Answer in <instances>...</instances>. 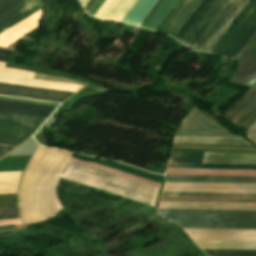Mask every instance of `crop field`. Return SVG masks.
<instances>
[{
  "instance_id": "crop-field-9",
  "label": "crop field",
  "mask_w": 256,
  "mask_h": 256,
  "mask_svg": "<svg viewBox=\"0 0 256 256\" xmlns=\"http://www.w3.org/2000/svg\"><path fill=\"white\" fill-rule=\"evenodd\" d=\"M41 9L42 6L39 0H0V29L9 25L10 23L17 20L18 18H20L21 16L25 15L28 12L33 14ZM29 13L21 17L17 21L13 22L9 26L11 27L18 23L19 21L26 18L27 16L31 15ZM3 31H1L0 33H2Z\"/></svg>"
},
{
  "instance_id": "crop-field-3",
  "label": "crop field",
  "mask_w": 256,
  "mask_h": 256,
  "mask_svg": "<svg viewBox=\"0 0 256 256\" xmlns=\"http://www.w3.org/2000/svg\"><path fill=\"white\" fill-rule=\"evenodd\" d=\"M61 178L102 189L118 196L122 195L149 204L153 207L155 206L160 190L156 187L70 161L68 162Z\"/></svg>"
},
{
  "instance_id": "crop-field-5",
  "label": "crop field",
  "mask_w": 256,
  "mask_h": 256,
  "mask_svg": "<svg viewBox=\"0 0 256 256\" xmlns=\"http://www.w3.org/2000/svg\"><path fill=\"white\" fill-rule=\"evenodd\" d=\"M205 156L256 157V153L205 152ZM204 152H172L168 167L183 168H222V169H256V158L205 157L204 163L234 164H203Z\"/></svg>"
},
{
  "instance_id": "crop-field-34",
  "label": "crop field",
  "mask_w": 256,
  "mask_h": 256,
  "mask_svg": "<svg viewBox=\"0 0 256 256\" xmlns=\"http://www.w3.org/2000/svg\"><path fill=\"white\" fill-rule=\"evenodd\" d=\"M79 1L82 3L83 7H84L85 4L88 2V0H79Z\"/></svg>"
},
{
  "instance_id": "crop-field-2",
  "label": "crop field",
  "mask_w": 256,
  "mask_h": 256,
  "mask_svg": "<svg viewBox=\"0 0 256 256\" xmlns=\"http://www.w3.org/2000/svg\"><path fill=\"white\" fill-rule=\"evenodd\" d=\"M251 0H203L174 38L212 53Z\"/></svg>"
},
{
  "instance_id": "crop-field-31",
  "label": "crop field",
  "mask_w": 256,
  "mask_h": 256,
  "mask_svg": "<svg viewBox=\"0 0 256 256\" xmlns=\"http://www.w3.org/2000/svg\"><path fill=\"white\" fill-rule=\"evenodd\" d=\"M248 133H250L256 137V123L251 127V129L248 131Z\"/></svg>"
},
{
  "instance_id": "crop-field-25",
  "label": "crop field",
  "mask_w": 256,
  "mask_h": 256,
  "mask_svg": "<svg viewBox=\"0 0 256 256\" xmlns=\"http://www.w3.org/2000/svg\"><path fill=\"white\" fill-rule=\"evenodd\" d=\"M11 204H16V194L0 196V206L11 205Z\"/></svg>"
},
{
  "instance_id": "crop-field-6",
  "label": "crop field",
  "mask_w": 256,
  "mask_h": 256,
  "mask_svg": "<svg viewBox=\"0 0 256 256\" xmlns=\"http://www.w3.org/2000/svg\"><path fill=\"white\" fill-rule=\"evenodd\" d=\"M255 29L256 0L249 6L215 53L227 57H235Z\"/></svg>"
},
{
  "instance_id": "crop-field-28",
  "label": "crop field",
  "mask_w": 256,
  "mask_h": 256,
  "mask_svg": "<svg viewBox=\"0 0 256 256\" xmlns=\"http://www.w3.org/2000/svg\"><path fill=\"white\" fill-rule=\"evenodd\" d=\"M10 53V50L0 49V61L6 62Z\"/></svg>"
},
{
  "instance_id": "crop-field-27",
  "label": "crop field",
  "mask_w": 256,
  "mask_h": 256,
  "mask_svg": "<svg viewBox=\"0 0 256 256\" xmlns=\"http://www.w3.org/2000/svg\"><path fill=\"white\" fill-rule=\"evenodd\" d=\"M16 144H9V143H1L0 142V156L4 155L14 147H16Z\"/></svg>"
},
{
  "instance_id": "crop-field-21",
  "label": "crop field",
  "mask_w": 256,
  "mask_h": 256,
  "mask_svg": "<svg viewBox=\"0 0 256 256\" xmlns=\"http://www.w3.org/2000/svg\"><path fill=\"white\" fill-rule=\"evenodd\" d=\"M174 143L248 144L242 138L175 137Z\"/></svg>"
},
{
  "instance_id": "crop-field-20",
  "label": "crop field",
  "mask_w": 256,
  "mask_h": 256,
  "mask_svg": "<svg viewBox=\"0 0 256 256\" xmlns=\"http://www.w3.org/2000/svg\"><path fill=\"white\" fill-rule=\"evenodd\" d=\"M46 118L0 112V123L38 128Z\"/></svg>"
},
{
  "instance_id": "crop-field-15",
  "label": "crop field",
  "mask_w": 256,
  "mask_h": 256,
  "mask_svg": "<svg viewBox=\"0 0 256 256\" xmlns=\"http://www.w3.org/2000/svg\"><path fill=\"white\" fill-rule=\"evenodd\" d=\"M137 0H107L95 18L122 22Z\"/></svg>"
},
{
  "instance_id": "crop-field-8",
  "label": "crop field",
  "mask_w": 256,
  "mask_h": 256,
  "mask_svg": "<svg viewBox=\"0 0 256 256\" xmlns=\"http://www.w3.org/2000/svg\"><path fill=\"white\" fill-rule=\"evenodd\" d=\"M235 58L239 64L230 83L246 86L256 71V30ZM247 87L256 89V73Z\"/></svg>"
},
{
  "instance_id": "crop-field-18",
  "label": "crop field",
  "mask_w": 256,
  "mask_h": 256,
  "mask_svg": "<svg viewBox=\"0 0 256 256\" xmlns=\"http://www.w3.org/2000/svg\"><path fill=\"white\" fill-rule=\"evenodd\" d=\"M55 108L0 101V111L48 117Z\"/></svg>"
},
{
  "instance_id": "crop-field-12",
  "label": "crop field",
  "mask_w": 256,
  "mask_h": 256,
  "mask_svg": "<svg viewBox=\"0 0 256 256\" xmlns=\"http://www.w3.org/2000/svg\"><path fill=\"white\" fill-rule=\"evenodd\" d=\"M223 117L231 121L236 119L235 124H240L249 130L256 122V90L249 89Z\"/></svg>"
},
{
  "instance_id": "crop-field-16",
  "label": "crop field",
  "mask_w": 256,
  "mask_h": 256,
  "mask_svg": "<svg viewBox=\"0 0 256 256\" xmlns=\"http://www.w3.org/2000/svg\"><path fill=\"white\" fill-rule=\"evenodd\" d=\"M158 208L256 210V204L161 202Z\"/></svg>"
},
{
  "instance_id": "crop-field-22",
  "label": "crop field",
  "mask_w": 256,
  "mask_h": 256,
  "mask_svg": "<svg viewBox=\"0 0 256 256\" xmlns=\"http://www.w3.org/2000/svg\"><path fill=\"white\" fill-rule=\"evenodd\" d=\"M176 1L177 0H162L143 27L155 30Z\"/></svg>"
},
{
  "instance_id": "crop-field-19",
  "label": "crop field",
  "mask_w": 256,
  "mask_h": 256,
  "mask_svg": "<svg viewBox=\"0 0 256 256\" xmlns=\"http://www.w3.org/2000/svg\"><path fill=\"white\" fill-rule=\"evenodd\" d=\"M36 129L0 124V141L20 144Z\"/></svg>"
},
{
  "instance_id": "crop-field-30",
  "label": "crop field",
  "mask_w": 256,
  "mask_h": 256,
  "mask_svg": "<svg viewBox=\"0 0 256 256\" xmlns=\"http://www.w3.org/2000/svg\"><path fill=\"white\" fill-rule=\"evenodd\" d=\"M55 201H56V205H57V211L60 212L61 210H63V208H62V206L59 202V199L57 197V193H56Z\"/></svg>"
},
{
  "instance_id": "crop-field-4",
  "label": "crop field",
  "mask_w": 256,
  "mask_h": 256,
  "mask_svg": "<svg viewBox=\"0 0 256 256\" xmlns=\"http://www.w3.org/2000/svg\"><path fill=\"white\" fill-rule=\"evenodd\" d=\"M158 210L182 228L256 229V211Z\"/></svg>"
},
{
  "instance_id": "crop-field-32",
  "label": "crop field",
  "mask_w": 256,
  "mask_h": 256,
  "mask_svg": "<svg viewBox=\"0 0 256 256\" xmlns=\"http://www.w3.org/2000/svg\"><path fill=\"white\" fill-rule=\"evenodd\" d=\"M94 2V0H89V2L86 4V6L84 7L85 10L87 11L88 8L91 6V4Z\"/></svg>"
},
{
  "instance_id": "crop-field-29",
  "label": "crop field",
  "mask_w": 256,
  "mask_h": 256,
  "mask_svg": "<svg viewBox=\"0 0 256 256\" xmlns=\"http://www.w3.org/2000/svg\"><path fill=\"white\" fill-rule=\"evenodd\" d=\"M13 229H14V228L7 229L6 226H2V227H0V234L13 232Z\"/></svg>"
},
{
  "instance_id": "crop-field-24",
  "label": "crop field",
  "mask_w": 256,
  "mask_h": 256,
  "mask_svg": "<svg viewBox=\"0 0 256 256\" xmlns=\"http://www.w3.org/2000/svg\"><path fill=\"white\" fill-rule=\"evenodd\" d=\"M15 218H20L16 205L0 207V220Z\"/></svg>"
},
{
  "instance_id": "crop-field-11",
  "label": "crop field",
  "mask_w": 256,
  "mask_h": 256,
  "mask_svg": "<svg viewBox=\"0 0 256 256\" xmlns=\"http://www.w3.org/2000/svg\"><path fill=\"white\" fill-rule=\"evenodd\" d=\"M201 248L256 249V241L194 240ZM208 256H256V250L203 249Z\"/></svg>"
},
{
  "instance_id": "crop-field-1",
  "label": "crop field",
  "mask_w": 256,
  "mask_h": 256,
  "mask_svg": "<svg viewBox=\"0 0 256 256\" xmlns=\"http://www.w3.org/2000/svg\"><path fill=\"white\" fill-rule=\"evenodd\" d=\"M70 154L38 145L23 172L18 191L23 223L40 222L56 214L53 194Z\"/></svg>"
},
{
  "instance_id": "crop-field-7",
  "label": "crop field",
  "mask_w": 256,
  "mask_h": 256,
  "mask_svg": "<svg viewBox=\"0 0 256 256\" xmlns=\"http://www.w3.org/2000/svg\"><path fill=\"white\" fill-rule=\"evenodd\" d=\"M176 136L238 137L196 108L185 118Z\"/></svg>"
},
{
  "instance_id": "crop-field-17",
  "label": "crop field",
  "mask_w": 256,
  "mask_h": 256,
  "mask_svg": "<svg viewBox=\"0 0 256 256\" xmlns=\"http://www.w3.org/2000/svg\"><path fill=\"white\" fill-rule=\"evenodd\" d=\"M167 181L256 183V177L166 175Z\"/></svg>"
},
{
  "instance_id": "crop-field-26",
  "label": "crop field",
  "mask_w": 256,
  "mask_h": 256,
  "mask_svg": "<svg viewBox=\"0 0 256 256\" xmlns=\"http://www.w3.org/2000/svg\"><path fill=\"white\" fill-rule=\"evenodd\" d=\"M105 1L106 0H95V2L87 11V13L94 17V15L97 13V11L100 9V7L103 5Z\"/></svg>"
},
{
  "instance_id": "crop-field-14",
  "label": "crop field",
  "mask_w": 256,
  "mask_h": 256,
  "mask_svg": "<svg viewBox=\"0 0 256 256\" xmlns=\"http://www.w3.org/2000/svg\"><path fill=\"white\" fill-rule=\"evenodd\" d=\"M0 94L63 102L74 93L0 83Z\"/></svg>"
},
{
  "instance_id": "crop-field-10",
  "label": "crop field",
  "mask_w": 256,
  "mask_h": 256,
  "mask_svg": "<svg viewBox=\"0 0 256 256\" xmlns=\"http://www.w3.org/2000/svg\"><path fill=\"white\" fill-rule=\"evenodd\" d=\"M164 191L256 193V184L167 182Z\"/></svg>"
},
{
  "instance_id": "crop-field-13",
  "label": "crop field",
  "mask_w": 256,
  "mask_h": 256,
  "mask_svg": "<svg viewBox=\"0 0 256 256\" xmlns=\"http://www.w3.org/2000/svg\"><path fill=\"white\" fill-rule=\"evenodd\" d=\"M201 1L178 0L156 30L174 37Z\"/></svg>"
},
{
  "instance_id": "crop-field-23",
  "label": "crop field",
  "mask_w": 256,
  "mask_h": 256,
  "mask_svg": "<svg viewBox=\"0 0 256 256\" xmlns=\"http://www.w3.org/2000/svg\"><path fill=\"white\" fill-rule=\"evenodd\" d=\"M162 196L256 198V194L164 192Z\"/></svg>"
},
{
  "instance_id": "crop-field-33",
  "label": "crop field",
  "mask_w": 256,
  "mask_h": 256,
  "mask_svg": "<svg viewBox=\"0 0 256 256\" xmlns=\"http://www.w3.org/2000/svg\"><path fill=\"white\" fill-rule=\"evenodd\" d=\"M104 195H105V196H109V197H113V198L118 197V196H115V195H113V194L107 193V192H105V191H104Z\"/></svg>"
}]
</instances>
